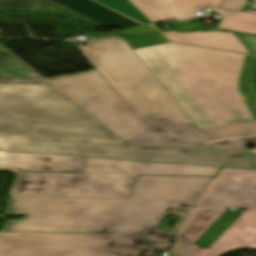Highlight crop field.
<instances>
[{
    "instance_id": "bd1437ed",
    "label": "crop field",
    "mask_w": 256,
    "mask_h": 256,
    "mask_svg": "<svg viewBox=\"0 0 256 256\" xmlns=\"http://www.w3.org/2000/svg\"><path fill=\"white\" fill-rule=\"evenodd\" d=\"M158 249H162V248H158ZM153 250H156V248L147 250L142 256H152Z\"/></svg>"
},
{
    "instance_id": "5142ce71",
    "label": "crop field",
    "mask_w": 256,
    "mask_h": 256,
    "mask_svg": "<svg viewBox=\"0 0 256 256\" xmlns=\"http://www.w3.org/2000/svg\"><path fill=\"white\" fill-rule=\"evenodd\" d=\"M163 34L174 42L247 53L238 39L232 32L226 31H209V32H192V33H179V32H163Z\"/></svg>"
},
{
    "instance_id": "a9b5d70f",
    "label": "crop field",
    "mask_w": 256,
    "mask_h": 256,
    "mask_svg": "<svg viewBox=\"0 0 256 256\" xmlns=\"http://www.w3.org/2000/svg\"><path fill=\"white\" fill-rule=\"evenodd\" d=\"M247 138L256 139V136L240 138V139H233V140H227V141L214 142L212 144L214 146H217V147L232 148V149H244L242 147H243Z\"/></svg>"
},
{
    "instance_id": "120bbe31",
    "label": "crop field",
    "mask_w": 256,
    "mask_h": 256,
    "mask_svg": "<svg viewBox=\"0 0 256 256\" xmlns=\"http://www.w3.org/2000/svg\"><path fill=\"white\" fill-rule=\"evenodd\" d=\"M256 62V59H255ZM254 86H255V90H256V65H255V79H254Z\"/></svg>"
},
{
    "instance_id": "bc2a9ffb",
    "label": "crop field",
    "mask_w": 256,
    "mask_h": 256,
    "mask_svg": "<svg viewBox=\"0 0 256 256\" xmlns=\"http://www.w3.org/2000/svg\"><path fill=\"white\" fill-rule=\"evenodd\" d=\"M208 140L224 139L256 134V122L229 125L201 130Z\"/></svg>"
},
{
    "instance_id": "cbeb9de0",
    "label": "crop field",
    "mask_w": 256,
    "mask_h": 256,
    "mask_svg": "<svg viewBox=\"0 0 256 256\" xmlns=\"http://www.w3.org/2000/svg\"><path fill=\"white\" fill-rule=\"evenodd\" d=\"M98 26H115L122 30L141 26L140 24L111 11L91 0H51Z\"/></svg>"
},
{
    "instance_id": "dafd665d",
    "label": "crop field",
    "mask_w": 256,
    "mask_h": 256,
    "mask_svg": "<svg viewBox=\"0 0 256 256\" xmlns=\"http://www.w3.org/2000/svg\"><path fill=\"white\" fill-rule=\"evenodd\" d=\"M120 37L128 43L132 50L168 42L160 33L125 35Z\"/></svg>"
},
{
    "instance_id": "412701ff",
    "label": "crop field",
    "mask_w": 256,
    "mask_h": 256,
    "mask_svg": "<svg viewBox=\"0 0 256 256\" xmlns=\"http://www.w3.org/2000/svg\"><path fill=\"white\" fill-rule=\"evenodd\" d=\"M86 42L81 49L140 118L194 128L195 125L123 39L108 36Z\"/></svg>"
},
{
    "instance_id": "ae1a2a85",
    "label": "crop field",
    "mask_w": 256,
    "mask_h": 256,
    "mask_svg": "<svg viewBox=\"0 0 256 256\" xmlns=\"http://www.w3.org/2000/svg\"><path fill=\"white\" fill-rule=\"evenodd\" d=\"M246 2L247 0H224L220 7L241 10ZM251 8L256 9V0Z\"/></svg>"
},
{
    "instance_id": "28ad6ade",
    "label": "crop field",
    "mask_w": 256,
    "mask_h": 256,
    "mask_svg": "<svg viewBox=\"0 0 256 256\" xmlns=\"http://www.w3.org/2000/svg\"><path fill=\"white\" fill-rule=\"evenodd\" d=\"M141 254L0 240V256H139Z\"/></svg>"
},
{
    "instance_id": "ac0d7876",
    "label": "crop field",
    "mask_w": 256,
    "mask_h": 256,
    "mask_svg": "<svg viewBox=\"0 0 256 256\" xmlns=\"http://www.w3.org/2000/svg\"><path fill=\"white\" fill-rule=\"evenodd\" d=\"M134 52L197 129L254 121L237 87L245 55L173 43Z\"/></svg>"
},
{
    "instance_id": "22f410ed",
    "label": "crop field",
    "mask_w": 256,
    "mask_h": 256,
    "mask_svg": "<svg viewBox=\"0 0 256 256\" xmlns=\"http://www.w3.org/2000/svg\"><path fill=\"white\" fill-rule=\"evenodd\" d=\"M114 235L0 232V239L107 249Z\"/></svg>"
},
{
    "instance_id": "5a996713",
    "label": "crop field",
    "mask_w": 256,
    "mask_h": 256,
    "mask_svg": "<svg viewBox=\"0 0 256 256\" xmlns=\"http://www.w3.org/2000/svg\"><path fill=\"white\" fill-rule=\"evenodd\" d=\"M83 157L0 152V170L81 172Z\"/></svg>"
},
{
    "instance_id": "750c4746",
    "label": "crop field",
    "mask_w": 256,
    "mask_h": 256,
    "mask_svg": "<svg viewBox=\"0 0 256 256\" xmlns=\"http://www.w3.org/2000/svg\"><path fill=\"white\" fill-rule=\"evenodd\" d=\"M157 31L153 26H142L126 31H120L116 32L117 35H123V34H135V33H146V32H154Z\"/></svg>"
},
{
    "instance_id": "d9b57169",
    "label": "crop field",
    "mask_w": 256,
    "mask_h": 256,
    "mask_svg": "<svg viewBox=\"0 0 256 256\" xmlns=\"http://www.w3.org/2000/svg\"><path fill=\"white\" fill-rule=\"evenodd\" d=\"M225 211V209H196L180 235L192 243Z\"/></svg>"
},
{
    "instance_id": "730fd06b",
    "label": "crop field",
    "mask_w": 256,
    "mask_h": 256,
    "mask_svg": "<svg viewBox=\"0 0 256 256\" xmlns=\"http://www.w3.org/2000/svg\"><path fill=\"white\" fill-rule=\"evenodd\" d=\"M248 58H249V56L246 55V56H245V59H244V62H243L242 69H241V73H240V76H239L238 86H239L240 94H241V96H242V98H243V100H244V102H245V104H246L248 110L251 112V114L253 115V117H254V119H255V121H256V117H255V115H254L252 109L250 108V99H249V97L245 94V92H244V91L242 90V88H241V83L243 82V80H244V78H245V70H244V68H245V66H246V64H247Z\"/></svg>"
},
{
    "instance_id": "8a807250",
    "label": "crop field",
    "mask_w": 256,
    "mask_h": 256,
    "mask_svg": "<svg viewBox=\"0 0 256 256\" xmlns=\"http://www.w3.org/2000/svg\"><path fill=\"white\" fill-rule=\"evenodd\" d=\"M0 151L256 169L251 152L124 142L1 46Z\"/></svg>"
},
{
    "instance_id": "34b2d1b8",
    "label": "crop field",
    "mask_w": 256,
    "mask_h": 256,
    "mask_svg": "<svg viewBox=\"0 0 256 256\" xmlns=\"http://www.w3.org/2000/svg\"><path fill=\"white\" fill-rule=\"evenodd\" d=\"M219 168L84 158L82 174L19 172L9 195L128 198L138 174L215 176Z\"/></svg>"
},
{
    "instance_id": "733c2abd",
    "label": "crop field",
    "mask_w": 256,
    "mask_h": 256,
    "mask_svg": "<svg viewBox=\"0 0 256 256\" xmlns=\"http://www.w3.org/2000/svg\"><path fill=\"white\" fill-rule=\"evenodd\" d=\"M222 16L218 29L256 34V14L212 9Z\"/></svg>"
},
{
    "instance_id": "214f88e0",
    "label": "crop field",
    "mask_w": 256,
    "mask_h": 256,
    "mask_svg": "<svg viewBox=\"0 0 256 256\" xmlns=\"http://www.w3.org/2000/svg\"><path fill=\"white\" fill-rule=\"evenodd\" d=\"M158 243L160 241L115 235L108 249L140 253L141 250H145Z\"/></svg>"
},
{
    "instance_id": "f4fd0767",
    "label": "crop field",
    "mask_w": 256,
    "mask_h": 256,
    "mask_svg": "<svg viewBox=\"0 0 256 256\" xmlns=\"http://www.w3.org/2000/svg\"><path fill=\"white\" fill-rule=\"evenodd\" d=\"M46 80L125 141L211 147L194 131L137 119L95 71Z\"/></svg>"
},
{
    "instance_id": "92a150f3",
    "label": "crop field",
    "mask_w": 256,
    "mask_h": 256,
    "mask_svg": "<svg viewBox=\"0 0 256 256\" xmlns=\"http://www.w3.org/2000/svg\"><path fill=\"white\" fill-rule=\"evenodd\" d=\"M124 15H127L141 24H150V21L140 13L128 0H96Z\"/></svg>"
},
{
    "instance_id": "4177f3b9",
    "label": "crop field",
    "mask_w": 256,
    "mask_h": 256,
    "mask_svg": "<svg viewBox=\"0 0 256 256\" xmlns=\"http://www.w3.org/2000/svg\"><path fill=\"white\" fill-rule=\"evenodd\" d=\"M176 31L204 30L198 22L185 21L170 23Z\"/></svg>"
},
{
    "instance_id": "d3111659",
    "label": "crop field",
    "mask_w": 256,
    "mask_h": 256,
    "mask_svg": "<svg viewBox=\"0 0 256 256\" xmlns=\"http://www.w3.org/2000/svg\"><path fill=\"white\" fill-rule=\"evenodd\" d=\"M243 43L250 49L252 54L256 55V36L236 33Z\"/></svg>"
},
{
    "instance_id": "dd49c442",
    "label": "crop field",
    "mask_w": 256,
    "mask_h": 256,
    "mask_svg": "<svg viewBox=\"0 0 256 256\" xmlns=\"http://www.w3.org/2000/svg\"><path fill=\"white\" fill-rule=\"evenodd\" d=\"M128 199L9 196L3 230L114 233Z\"/></svg>"
},
{
    "instance_id": "00972430",
    "label": "crop field",
    "mask_w": 256,
    "mask_h": 256,
    "mask_svg": "<svg viewBox=\"0 0 256 256\" xmlns=\"http://www.w3.org/2000/svg\"><path fill=\"white\" fill-rule=\"evenodd\" d=\"M179 235L169 249V256H198L200 248Z\"/></svg>"
},
{
    "instance_id": "1d83c4d3",
    "label": "crop field",
    "mask_w": 256,
    "mask_h": 256,
    "mask_svg": "<svg viewBox=\"0 0 256 256\" xmlns=\"http://www.w3.org/2000/svg\"><path fill=\"white\" fill-rule=\"evenodd\" d=\"M170 243L169 242H164L158 246H161V247H169Z\"/></svg>"
},
{
    "instance_id": "eef30255",
    "label": "crop field",
    "mask_w": 256,
    "mask_h": 256,
    "mask_svg": "<svg viewBox=\"0 0 256 256\" xmlns=\"http://www.w3.org/2000/svg\"><path fill=\"white\" fill-rule=\"evenodd\" d=\"M254 59H255V56H252L251 65L247 67V69L249 70V72H248L249 80L245 85H246V90L254 98L255 107H256V92H255L254 87H253L254 65H255Z\"/></svg>"
},
{
    "instance_id": "3316defc",
    "label": "crop field",
    "mask_w": 256,
    "mask_h": 256,
    "mask_svg": "<svg viewBox=\"0 0 256 256\" xmlns=\"http://www.w3.org/2000/svg\"><path fill=\"white\" fill-rule=\"evenodd\" d=\"M152 23L195 18L206 6L219 7L223 0H129Z\"/></svg>"
},
{
    "instance_id": "e52e79f7",
    "label": "crop field",
    "mask_w": 256,
    "mask_h": 256,
    "mask_svg": "<svg viewBox=\"0 0 256 256\" xmlns=\"http://www.w3.org/2000/svg\"><path fill=\"white\" fill-rule=\"evenodd\" d=\"M212 178L140 176L115 233L169 240L192 209L181 215L171 232L156 230L166 214L194 207ZM177 235V234H176Z\"/></svg>"
},
{
    "instance_id": "4a817a6b",
    "label": "crop field",
    "mask_w": 256,
    "mask_h": 256,
    "mask_svg": "<svg viewBox=\"0 0 256 256\" xmlns=\"http://www.w3.org/2000/svg\"><path fill=\"white\" fill-rule=\"evenodd\" d=\"M240 215L241 213L227 209L194 244L209 249Z\"/></svg>"
},
{
    "instance_id": "d1516ede",
    "label": "crop field",
    "mask_w": 256,
    "mask_h": 256,
    "mask_svg": "<svg viewBox=\"0 0 256 256\" xmlns=\"http://www.w3.org/2000/svg\"><path fill=\"white\" fill-rule=\"evenodd\" d=\"M256 250V209H247L209 249H201L199 256H222L230 250Z\"/></svg>"
},
{
    "instance_id": "d8731c3e",
    "label": "crop field",
    "mask_w": 256,
    "mask_h": 256,
    "mask_svg": "<svg viewBox=\"0 0 256 256\" xmlns=\"http://www.w3.org/2000/svg\"><path fill=\"white\" fill-rule=\"evenodd\" d=\"M256 171L223 168L195 207H256Z\"/></svg>"
}]
</instances>
